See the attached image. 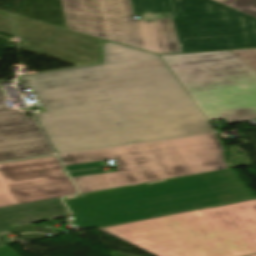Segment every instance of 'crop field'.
<instances>
[{"instance_id": "8a807250", "label": "crop field", "mask_w": 256, "mask_h": 256, "mask_svg": "<svg viewBox=\"0 0 256 256\" xmlns=\"http://www.w3.org/2000/svg\"><path fill=\"white\" fill-rule=\"evenodd\" d=\"M104 64L21 76L47 112L35 116L57 153L213 132L157 55L107 42Z\"/></svg>"}, {"instance_id": "ac0d7876", "label": "crop field", "mask_w": 256, "mask_h": 256, "mask_svg": "<svg viewBox=\"0 0 256 256\" xmlns=\"http://www.w3.org/2000/svg\"><path fill=\"white\" fill-rule=\"evenodd\" d=\"M61 0L67 27L157 54L256 47V18L213 0Z\"/></svg>"}, {"instance_id": "34b2d1b8", "label": "crop field", "mask_w": 256, "mask_h": 256, "mask_svg": "<svg viewBox=\"0 0 256 256\" xmlns=\"http://www.w3.org/2000/svg\"><path fill=\"white\" fill-rule=\"evenodd\" d=\"M233 169L64 198L78 229L253 197ZM63 199V200H64Z\"/></svg>"}, {"instance_id": "412701ff", "label": "crop field", "mask_w": 256, "mask_h": 256, "mask_svg": "<svg viewBox=\"0 0 256 256\" xmlns=\"http://www.w3.org/2000/svg\"><path fill=\"white\" fill-rule=\"evenodd\" d=\"M155 256L256 253V199L99 229Z\"/></svg>"}, {"instance_id": "f4fd0767", "label": "crop field", "mask_w": 256, "mask_h": 256, "mask_svg": "<svg viewBox=\"0 0 256 256\" xmlns=\"http://www.w3.org/2000/svg\"><path fill=\"white\" fill-rule=\"evenodd\" d=\"M216 133L59 155L64 166L115 159L118 171L75 177L81 193L228 169Z\"/></svg>"}, {"instance_id": "dd49c442", "label": "crop field", "mask_w": 256, "mask_h": 256, "mask_svg": "<svg viewBox=\"0 0 256 256\" xmlns=\"http://www.w3.org/2000/svg\"><path fill=\"white\" fill-rule=\"evenodd\" d=\"M160 56L208 120L256 118V72L230 52Z\"/></svg>"}, {"instance_id": "e52e79f7", "label": "crop field", "mask_w": 256, "mask_h": 256, "mask_svg": "<svg viewBox=\"0 0 256 256\" xmlns=\"http://www.w3.org/2000/svg\"><path fill=\"white\" fill-rule=\"evenodd\" d=\"M57 156L0 163V207L77 194Z\"/></svg>"}, {"instance_id": "d8731c3e", "label": "crop field", "mask_w": 256, "mask_h": 256, "mask_svg": "<svg viewBox=\"0 0 256 256\" xmlns=\"http://www.w3.org/2000/svg\"><path fill=\"white\" fill-rule=\"evenodd\" d=\"M0 89V161L53 154L33 117L7 110Z\"/></svg>"}, {"instance_id": "5a996713", "label": "crop field", "mask_w": 256, "mask_h": 256, "mask_svg": "<svg viewBox=\"0 0 256 256\" xmlns=\"http://www.w3.org/2000/svg\"><path fill=\"white\" fill-rule=\"evenodd\" d=\"M69 213L60 198L3 207L0 208V231L18 225L64 218Z\"/></svg>"}, {"instance_id": "3316defc", "label": "crop field", "mask_w": 256, "mask_h": 256, "mask_svg": "<svg viewBox=\"0 0 256 256\" xmlns=\"http://www.w3.org/2000/svg\"><path fill=\"white\" fill-rule=\"evenodd\" d=\"M253 17H256V0H216Z\"/></svg>"}, {"instance_id": "28ad6ade", "label": "crop field", "mask_w": 256, "mask_h": 256, "mask_svg": "<svg viewBox=\"0 0 256 256\" xmlns=\"http://www.w3.org/2000/svg\"><path fill=\"white\" fill-rule=\"evenodd\" d=\"M230 52L256 71V49L233 50Z\"/></svg>"}, {"instance_id": "d1516ede", "label": "crop field", "mask_w": 256, "mask_h": 256, "mask_svg": "<svg viewBox=\"0 0 256 256\" xmlns=\"http://www.w3.org/2000/svg\"><path fill=\"white\" fill-rule=\"evenodd\" d=\"M0 256H19L8 246L0 247Z\"/></svg>"}, {"instance_id": "22f410ed", "label": "crop field", "mask_w": 256, "mask_h": 256, "mask_svg": "<svg viewBox=\"0 0 256 256\" xmlns=\"http://www.w3.org/2000/svg\"><path fill=\"white\" fill-rule=\"evenodd\" d=\"M119 126H120V128H122V127H124V124L123 123H121V124H119ZM128 134V133H127Z\"/></svg>"}, {"instance_id": "cbeb9de0", "label": "crop field", "mask_w": 256, "mask_h": 256, "mask_svg": "<svg viewBox=\"0 0 256 256\" xmlns=\"http://www.w3.org/2000/svg\"><path fill=\"white\" fill-rule=\"evenodd\" d=\"M248 256H256V254H253V255H248Z\"/></svg>"}, {"instance_id": "5142ce71", "label": "crop field", "mask_w": 256, "mask_h": 256, "mask_svg": "<svg viewBox=\"0 0 256 256\" xmlns=\"http://www.w3.org/2000/svg\"><path fill=\"white\" fill-rule=\"evenodd\" d=\"M0 88H2L1 84H0Z\"/></svg>"}]
</instances>
